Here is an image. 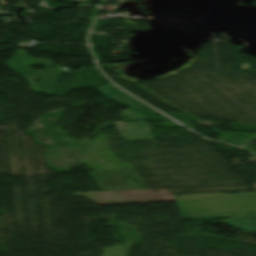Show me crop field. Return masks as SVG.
I'll return each instance as SVG.
<instances>
[{
	"mask_svg": "<svg viewBox=\"0 0 256 256\" xmlns=\"http://www.w3.org/2000/svg\"><path fill=\"white\" fill-rule=\"evenodd\" d=\"M34 82H35V81H31V82H29V83H30L31 86H34V85H35Z\"/></svg>",
	"mask_w": 256,
	"mask_h": 256,
	"instance_id": "obj_1",
	"label": "crop field"
}]
</instances>
